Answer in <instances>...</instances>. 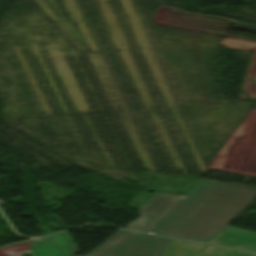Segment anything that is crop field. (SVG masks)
<instances>
[{
    "label": "crop field",
    "instance_id": "crop-field-7",
    "mask_svg": "<svg viewBox=\"0 0 256 256\" xmlns=\"http://www.w3.org/2000/svg\"><path fill=\"white\" fill-rule=\"evenodd\" d=\"M202 256H256V255L242 252V251L207 245Z\"/></svg>",
    "mask_w": 256,
    "mask_h": 256
},
{
    "label": "crop field",
    "instance_id": "crop-field-5",
    "mask_svg": "<svg viewBox=\"0 0 256 256\" xmlns=\"http://www.w3.org/2000/svg\"><path fill=\"white\" fill-rule=\"evenodd\" d=\"M208 243L256 250V233L226 226L217 235L213 236Z\"/></svg>",
    "mask_w": 256,
    "mask_h": 256
},
{
    "label": "crop field",
    "instance_id": "crop-field-2",
    "mask_svg": "<svg viewBox=\"0 0 256 256\" xmlns=\"http://www.w3.org/2000/svg\"><path fill=\"white\" fill-rule=\"evenodd\" d=\"M171 240L119 230L87 256H161Z\"/></svg>",
    "mask_w": 256,
    "mask_h": 256
},
{
    "label": "crop field",
    "instance_id": "crop-field-3",
    "mask_svg": "<svg viewBox=\"0 0 256 256\" xmlns=\"http://www.w3.org/2000/svg\"><path fill=\"white\" fill-rule=\"evenodd\" d=\"M25 252H31L32 256H73L79 250L68 233L63 232L1 248L0 256H20Z\"/></svg>",
    "mask_w": 256,
    "mask_h": 256
},
{
    "label": "crop field",
    "instance_id": "crop-field-4",
    "mask_svg": "<svg viewBox=\"0 0 256 256\" xmlns=\"http://www.w3.org/2000/svg\"><path fill=\"white\" fill-rule=\"evenodd\" d=\"M181 198L180 196L155 193L139 210L140 218L137 221L130 222L126 228L149 232Z\"/></svg>",
    "mask_w": 256,
    "mask_h": 256
},
{
    "label": "crop field",
    "instance_id": "crop-field-6",
    "mask_svg": "<svg viewBox=\"0 0 256 256\" xmlns=\"http://www.w3.org/2000/svg\"><path fill=\"white\" fill-rule=\"evenodd\" d=\"M205 245L172 240L162 256H200Z\"/></svg>",
    "mask_w": 256,
    "mask_h": 256
},
{
    "label": "crop field",
    "instance_id": "crop-field-1",
    "mask_svg": "<svg viewBox=\"0 0 256 256\" xmlns=\"http://www.w3.org/2000/svg\"><path fill=\"white\" fill-rule=\"evenodd\" d=\"M255 197V189L200 180L152 232L206 242Z\"/></svg>",
    "mask_w": 256,
    "mask_h": 256
}]
</instances>
